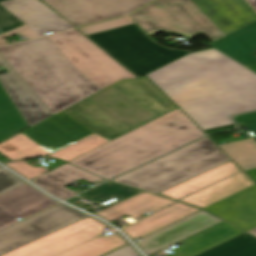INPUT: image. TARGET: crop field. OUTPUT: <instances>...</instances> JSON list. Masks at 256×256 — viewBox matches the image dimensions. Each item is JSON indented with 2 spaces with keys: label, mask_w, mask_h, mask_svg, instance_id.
Wrapping results in <instances>:
<instances>
[{
  "label": "crop field",
  "mask_w": 256,
  "mask_h": 256,
  "mask_svg": "<svg viewBox=\"0 0 256 256\" xmlns=\"http://www.w3.org/2000/svg\"><path fill=\"white\" fill-rule=\"evenodd\" d=\"M28 127L0 84V141Z\"/></svg>",
  "instance_id": "obj_23"
},
{
  "label": "crop field",
  "mask_w": 256,
  "mask_h": 256,
  "mask_svg": "<svg viewBox=\"0 0 256 256\" xmlns=\"http://www.w3.org/2000/svg\"><path fill=\"white\" fill-rule=\"evenodd\" d=\"M76 68L103 89L136 78L77 29L49 36Z\"/></svg>",
  "instance_id": "obj_8"
},
{
  "label": "crop field",
  "mask_w": 256,
  "mask_h": 256,
  "mask_svg": "<svg viewBox=\"0 0 256 256\" xmlns=\"http://www.w3.org/2000/svg\"><path fill=\"white\" fill-rule=\"evenodd\" d=\"M201 209L177 202L151 216H148L122 231L131 239L143 237Z\"/></svg>",
  "instance_id": "obj_18"
},
{
  "label": "crop field",
  "mask_w": 256,
  "mask_h": 256,
  "mask_svg": "<svg viewBox=\"0 0 256 256\" xmlns=\"http://www.w3.org/2000/svg\"><path fill=\"white\" fill-rule=\"evenodd\" d=\"M85 216L87 215L59 204L28 218L0 232V255Z\"/></svg>",
  "instance_id": "obj_9"
},
{
  "label": "crop field",
  "mask_w": 256,
  "mask_h": 256,
  "mask_svg": "<svg viewBox=\"0 0 256 256\" xmlns=\"http://www.w3.org/2000/svg\"><path fill=\"white\" fill-rule=\"evenodd\" d=\"M6 165L28 179H31L46 171V169L43 167H32L24 161L7 163Z\"/></svg>",
  "instance_id": "obj_31"
},
{
  "label": "crop field",
  "mask_w": 256,
  "mask_h": 256,
  "mask_svg": "<svg viewBox=\"0 0 256 256\" xmlns=\"http://www.w3.org/2000/svg\"><path fill=\"white\" fill-rule=\"evenodd\" d=\"M253 119H256V112L235 117V120L238 123L248 121V120H253Z\"/></svg>",
  "instance_id": "obj_34"
},
{
  "label": "crop field",
  "mask_w": 256,
  "mask_h": 256,
  "mask_svg": "<svg viewBox=\"0 0 256 256\" xmlns=\"http://www.w3.org/2000/svg\"><path fill=\"white\" fill-rule=\"evenodd\" d=\"M107 256H139V254L130 246H126L118 251H115Z\"/></svg>",
  "instance_id": "obj_33"
},
{
  "label": "crop field",
  "mask_w": 256,
  "mask_h": 256,
  "mask_svg": "<svg viewBox=\"0 0 256 256\" xmlns=\"http://www.w3.org/2000/svg\"><path fill=\"white\" fill-rule=\"evenodd\" d=\"M202 136L177 109L69 163L109 179Z\"/></svg>",
  "instance_id": "obj_4"
},
{
  "label": "crop field",
  "mask_w": 256,
  "mask_h": 256,
  "mask_svg": "<svg viewBox=\"0 0 256 256\" xmlns=\"http://www.w3.org/2000/svg\"><path fill=\"white\" fill-rule=\"evenodd\" d=\"M137 76L148 74L191 52L168 50L152 42L135 24L89 36Z\"/></svg>",
  "instance_id": "obj_6"
},
{
  "label": "crop field",
  "mask_w": 256,
  "mask_h": 256,
  "mask_svg": "<svg viewBox=\"0 0 256 256\" xmlns=\"http://www.w3.org/2000/svg\"><path fill=\"white\" fill-rule=\"evenodd\" d=\"M249 68L256 72V65Z\"/></svg>",
  "instance_id": "obj_39"
},
{
  "label": "crop field",
  "mask_w": 256,
  "mask_h": 256,
  "mask_svg": "<svg viewBox=\"0 0 256 256\" xmlns=\"http://www.w3.org/2000/svg\"><path fill=\"white\" fill-rule=\"evenodd\" d=\"M247 175H249L255 182H256V169L250 170L245 172Z\"/></svg>",
  "instance_id": "obj_36"
},
{
  "label": "crop field",
  "mask_w": 256,
  "mask_h": 256,
  "mask_svg": "<svg viewBox=\"0 0 256 256\" xmlns=\"http://www.w3.org/2000/svg\"><path fill=\"white\" fill-rule=\"evenodd\" d=\"M56 203L25 183L0 196V231Z\"/></svg>",
  "instance_id": "obj_14"
},
{
  "label": "crop field",
  "mask_w": 256,
  "mask_h": 256,
  "mask_svg": "<svg viewBox=\"0 0 256 256\" xmlns=\"http://www.w3.org/2000/svg\"><path fill=\"white\" fill-rule=\"evenodd\" d=\"M256 9V0H248Z\"/></svg>",
  "instance_id": "obj_37"
},
{
  "label": "crop field",
  "mask_w": 256,
  "mask_h": 256,
  "mask_svg": "<svg viewBox=\"0 0 256 256\" xmlns=\"http://www.w3.org/2000/svg\"><path fill=\"white\" fill-rule=\"evenodd\" d=\"M106 227L88 216L1 256H54L104 232Z\"/></svg>",
  "instance_id": "obj_10"
},
{
  "label": "crop field",
  "mask_w": 256,
  "mask_h": 256,
  "mask_svg": "<svg viewBox=\"0 0 256 256\" xmlns=\"http://www.w3.org/2000/svg\"><path fill=\"white\" fill-rule=\"evenodd\" d=\"M253 185H255V183L243 172H241L200 192H197L181 200L180 202L205 208Z\"/></svg>",
  "instance_id": "obj_21"
},
{
  "label": "crop field",
  "mask_w": 256,
  "mask_h": 256,
  "mask_svg": "<svg viewBox=\"0 0 256 256\" xmlns=\"http://www.w3.org/2000/svg\"><path fill=\"white\" fill-rule=\"evenodd\" d=\"M6 0H0V2ZM24 23L0 5V29L5 33Z\"/></svg>",
  "instance_id": "obj_30"
},
{
  "label": "crop field",
  "mask_w": 256,
  "mask_h": 256,
  "mask_svg": "<svg viewBox=\"0 0 256 256\" xmlns=\"http://www.w3.org/2000/svg\"><path fill=\"white\" fill-rule=\"evenodd\" d=\"M134 22L128 17H122L86 27L79 28L81 32H83L86 36L97 34L100 32H104L107 30L115 29L118 27H122L125 25L133 24Z\"/></svg>",
  "instance_id": "obj_29"
},
{
  "label": "crop field",
  "mask_w": 256,
  "mask_h": 256,
  "mask_svg": "<svg viewBox=\"0 0 256 256\" xmlns=\"http://www.w3.org/2000/svg\"><path fill=\"white\" fill-rule=\"evenodd\" d=\"M0 54L53 115L102 90L48 36L2 46Z\"/></svg>",
  "instance_id": "obj_3"
},
{
  "label": "crop field",
  "mask_w": 256,
  "mask_h": 256,
  "mask_svg": "<svg viewBox=\"0 0 256 256\" xmlns=\"http://www.w3.org/2000/svg\"><path fill=\"white\" fill-rule=\"evenodd\" d=\"M106 142H109L108 140L94 134L88 138H85L53 155L50 157L62 159L65 161H70Z\"/></svg>",
  "instance_id": "obj_28"
},
{
  "label": "crop field",
  "mask_w": 256,
  "mask_h": 256,
  "mask_svg": "<svg viewBox=\"0 0 256 256\" xmlns=\"http://www.w3.org/2000/svg\"><path fill=\"white\" fill-rule=\"evenodd\" d=\"M129 16L150 36L166 32L193 38L204 33L213 41L225 36L192 0H157Z\"/></svg>",
  "instance_id": "obj_7"
},
{
  "label": "crop field",
  "mask_w": 256,
  "mask_h": 256,
  "mask_svg": "<svg viewBox=\"0 0 256 256\" xmlns=\"http://www.w3.org/2000/svg\"><path fill=\"white\" fill-rule=\"evenodd\" d=\"M221 222L223 221L201 210L167 227L153 232L143 237V241L135 243L146 255H150L166 246L176 243Z\"/></svg>",
  "instance_id": "obj_13"
},
{
  "label": "crop field",
  "mask_w": 256,
  "mask_h": 256,
  "mask_svg": "<svg viewBox=\"0 0 256 256\" xmlns=\"http://www.w3.org/2000/svg\"><path fill=\"white\" fill-rule=\"evenodd\" d=\"M228 161L230 159L206 137L112 182L158 194Z\"/></svg>",
  "instance_id": "obj_5"
},
{
  "label": "crop field",
  "mask_w": 256,
  "mask_h": 256,
  "mask_svg": "<svg viewBox=\"0 0 256 256\" xmlns=\"http://www.w3.org/2000/svg\"><path fill=\"white\" fill-rule=\"evenodd\" d=\"M127 242L117 233L113 236H99L57 256H102Z\"/></svg>",
  "instance_id": "obj_24"
},
{
  "label": "crop field",
  "mask_w": 256,
  "mask_h": 256,
  "mask_svg": "<svg viewBox=\"0 0 256 256\" xmlns=\"http://www.w3.org/2000/svg\"><path fill=\"white\" fill-rule=\"evenodd\" d=\"M0 168H2V167H0Z\"/></svg>",
  "instance_id": "obj_40"
},
{
  "label": "crop field",
  "mask_w": 256,
  "mask_h": 256,
  "mask_svg": "<svg viewBox=\"0 0 256 256\" xmlns=\"http://www.w3.org/2000/svg\"><path fill=\"white\" fill-rule=\"evenodd\" d=\"M173 202L176 201L152 193L143 192L95 215L111 222L125 214L135 218L150 211L155 212Z\"/></svg>",
  "instance_id": "obj_20"
},
{
  "label": "crop field",
  "mask_w": 256,
  "mask_h": 256,
  "mask_svg": "<svg viewBox=\"0 0 256 256\" xmlns=\"http://www.w3.org/2000/svg\"><path fill=\"white\" fill-rule=\"evenodd\" d=\"M243 170L256 167V142L252 139L220 146Z\"/></svg>",
  "instance_id": "obj_26"
},
{
  "label": "crop field",
  "mask_w": 256,
  "mask_h": 256,
  "mask_svg": "<svg viewBox=\"0 0 256 256\" xmlns=\"http://www.w3.org/2000/svg\"><path fill=\"white\" fill-rule=\"evenodd\" d=\"M238 171H240V169L232 161H230L188 181H185L159 195L178 200L196 190L224 179Z\"/></svg>",
  "instance_id": "obj_22"
},
{
  "label": "crop field",
  "mask_w": 256,
  "mask_h": 256,
  "mask_svg": "<svg viewBox=\"0 0 256 256\" xmlns=\"http://www.w3.org/2000/svg\"><path fill=\"white\" fill-rule=\"evenodd\" d=\"M0 64L9 72L0 82L30 127L53 116L1 55Z\"/></svg>",
  "instance_id": "obj_15"
},
{
  "label": "crop field",
  "mask_w": 256,
  "mask_h": 256,
  "mask_svg": "<svg viewBox=\"0 0 256 256\" xmlns=\"http://www.w3.org/2000/svg\"><path fill=\"white\" fill-rule=\"evenodd\" d=\"M147 76L203 130L232 124L231 114L256 109V75L214 49Z\"/></svg>",
  "instance_id": "obj_1"
},
{
  "label": "crop field",
  "mask_w": 256,
  "mask_h": 256,
  "mask_svg": "<svg viewBox=\"0 0 256 256\" xmlns=\"http://www.w3.org/2000/svg\"><path fill=\"white\" fill-rule=\"evenodd\" d=\"M73 25L80 26L129 13L151 0H42ZM144 6V5H143ZM133 12V11H132Z\"/></svg>",
  "instance_id": "obj_11"
},
{
  "label": "crop field",
  "mask_w": 256,
  "mask_h": 256,
  "mask_svg": "<svg viewBox=\"0 0 256 256\" xmlns=\"http://www.w3.org/2000/svg\"><path fill=\"white\" fill-rule=\"evenodd\" d=\"M227 35L256 20L255 11L244 0H193Z\"/></svg>",
  "instance_id": "obj_16"
},
{
  "label": "crop field",
  "mask_w": 256,
  "mask_h": 256,
  "mask_svg": "<svg viewBox=\"0 0 256 256\" xmlns=\"http://www.w3.org/2000/svg\"><path fill=\"white\" fill-rule=\"evenodd\" d=\"M174 108L147 78H141L121 80L62 112L103 137H117ZM0 152L13 161L50 154L21 133L1 143Z\"/></svg>",
  "instance_id": "obj_2"
},
{
  "label": "crop field",
  "mask_w": 256,
  "mask_h": 256,
  "mask_svg": "<svg viewBox=\"0 0 256 256\" xmlns=\"http://www.w3.org/2000/svg\"><path fill=\"white\" fill-rule=\"evenodd\" d=\"M143 191H139L136 189H132L129 187H125L122 185H118L115 183L108 182L100 187H97L91 191H88L80 196L92 200V201H99L104 202L108 199L113 197L123 201L127 198H130L136 194H139Z\"/></svg>",
  "instance_id": "obj_27"
},
{
  "label": "crop field",
  "mask_w": 256,
  "mask_h": 256,
  "mask_svg": "<svg viewBox=\"0 0 256 256\" xmlns=\"http://www.w3.org/2000/svg\"><path fill=\"white\" fill-rule=\"evenodd\" d=\"M79 179L93 183L102 178L66 164L31 182L35 183L36 185L43 188L52 195L64 200L76 194L75 192L65 188L64 186L72 182H75Z\"/></svg>",
  "instance_id": "obj_19"
},
{
  "label": "crop field",
  "mask_w": 256,
  "mask_h": 256,
  "mask_svg": "<svg viewBox=\"0 0 256 256\" xmlns=\"http://www.w3.org/2000/svg\"><path fill=\"white\" fill-rule=\"evenodd\" d=\"M25 182L19 180L5 170H0V195L23 184Z\"/></svg>",
  "instance_id": "obj_32"
},
{
  "label": "crop field",
  "mask_w": 256,
  "mask_h": 256,
  "mask_svg": "<svg viewBox=\"0 0 256 256\" xmlns=\"http://www.w3.org/2000/svg\"><path fill=\"white\" fill-rule=\"evenodd\" d=\"M241 127H248L256 135V120L240 124ZM256 140V136L254 138Z\"/></svg>",
  "instance_id": "obj_35"
},
{
  "label": "crop field",
  "mask_w": 256,
  "mask_h": 256,
  "mask_svg": "<svg viewBox=\"0 0 256 256\" xmlns=\"http://www.w3.org/2000/svg\"><path fill=\"white\" fill-rule=\"evenodd\" d=\"M198 256H256V238L244 233Z\"/></svg>",
  "instance_id": "obj_25"
},
{
  "label": "crop field",
  "mask_w": 256,
  "mask_h": 256,
  "mask_svg": "<svg viewBox=\"0 0 256 256\" xmlns=\"http://www.w3.org/2000/svg\"><path fill=\"white\" fill-rule=\"evenodd\" d=\"M25 25L0 35V45L8 44L4 38L20 33L26 38L43 36L45 32L53 33L73 28L53 10L39 0H10L0 3Z\"/></svg>",
  "instance_id": "obj_12"
},
{
  "label": "crop field",
  "mask_w": 256,
  "mask_h": 256,
  "mask_svg": "<svg viewBox=\"0 0 256 256\" xmlns=\"http://www.w3.org/2000/svg\"><path fill=\"white\" fill-rule=\"evenodd\" d=\"M254 229V228H253ZM252 230V229H251ZM249 233L253 234L256 236V229L252 230V231H249Z\"/></svg>",
  "instance_id": "obj_38"
},
{
  "label": "crop field",
  "mask_w": 256,
  "mask_h": 256,
  "mask_svg": "<svg viewBox=\"0 0 256 256\" xmlns=\"http://www.w3.org/2000/svg\"><path fill=\"white\" fill-rule=\"evenodd\" d=\"M213 47L246 67L256 64V22L215 42Z\"/></svg>",
  "instance_id": "obj_17"
}]
</instances>
